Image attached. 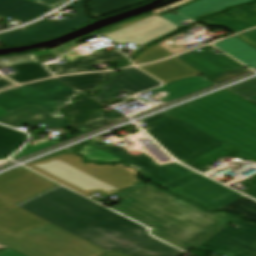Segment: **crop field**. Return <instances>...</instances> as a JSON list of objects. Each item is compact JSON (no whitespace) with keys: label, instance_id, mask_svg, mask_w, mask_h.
<instances>
[{"label":"crop field","instance_id":"obj_1","mask_svg":"<svg viewBox=\"0 0 256 256\" xmlns=\"http://www.w3.org/2000/svg\"><path fill=\"white\" fill-rule=\"evenodd\" d=\"M16 206L109 252L131 256L185 254L147 235L145 227L63 186Z\"/></svg>","mask_w":256,"mask_h":256},{"label":"crop field","instance_id":"obj_2","mask_svg":"<svg viewBox=\"0 0 256 256\" xmlns=\"http://www.w3.org/2000/svg\"><path fill=\"white\" fill-rule=\"evenodd\" d=\"M256 158V105L226 90L166 111Z\"/></svg>","mask_w":256,"mask_h":256},{"label":"crop field","instance_id":"obj_3","mask_svg":"<svg viewBox=\"0 0 256 256\" xmlns=\"http://www.w3.org/2000/svg\"><path fill=\"white\" fill-rule=\"evenodd\" d=\"M133 219L152 227V235L185 252L229 223L180 198Z\"/></svg>","mask_w":256,"mask_h":256},{"label":"crop field","instance_id":"obj_4","mask_svg":"<svg viewBox=\"0 0 256 256\" xmlns=\"http://www.w3.org/2000/svg\"><path fill=\"white\" fill-rule=\"evenodd\" d=\"M79 153L83 154L87 161L91 159H97L99 162L122 161L91 144H86ZM27 166L75 191L100 179L121 189L138 182L135 178V170L125 168L124 164H118L116 167L110 165L97 166L93 163L85 164L74 153Z\"/></svg>","mask_w":256,"mask_h":256},{"label":"crop field","instance_id":"obj_5","mask_svg":"<svg viewBox=\"0 0 256 256\" xmlns=\"http://www.w3.org/2000/svg\"><path fill=\"white\" fill-rule=\"evenodd\" d=\"M0 243L27 256H101L108 253L51 224L17 235L0 228Z\"/></svg>","mask_w":256,"mask_h":256},{"label":"crop field","instance_id":"obj_6","mask_svg":"<svg viewBox=\"0 0 256 256\" xmlns=\"http://www.w3.org/2000/svg\"><path fill=\"white\" fill-rule=\"evenodd\" d=\"M81 91L54 78L0 92V107L13 113L32 104L60 117V110L73 103Z\"/></svg>","mask_w":256,"mask_h":256},{"label":"crop field","instance_id":"obj_7","mask_svg":"<svg viewBox=\"0 0 256 256\" xmlns=\"http://www.w3.org/2000/svg\"><path fill=\"white\" fill-rule=\"evenodd\" d=\"M145 130L183 163L225 144L173 117Z\"/></svg>","mask_w":256,"mask_h":256},{"label":"crop field","instance_id":"obj_8","mask_svg":"<svg viewBox=\"0 0 256 256\" xmlns=\"http://www.w3.org/2000/svg\"><path fill=\"white\" fill-rule=\"evenodd\" d=\"M163 188L169 189L188 200L206 207L209 210H215L243 196L198 173Z\"/></svg>","mask_w":256,"mask_h":256},{"label":"crop field","instance_id":"obj_9","mask_svg":"<svg viewBox=\"0 0 256 256\" xmlns=\"http://www.w3.org/2000/svg\"><path fill=\"white\" fill-rule=\"evenodd\" d=\"M55 186L57 185L19 167L0 176V198L15 205Z\"/></svg>","mask_w":256,"mask_h":256},{"label":"crop field","instance_id":"obj_10","mask_svg":"<svg viewBox=\"0 0 256 256\" xmlns=\"http://www.w3.org/2000/svg\"><path fill=\"white\" fill-rule=\"evenodd\" d=\"M104 151L126 161L130 166L137 167L143 178L163 187L194 171L177 163L159 166L148 155L132 156L128 151L111 144Z\"/></svg>","mask_w":256,"mask_h":256},{"label":"crop field","instance_id":"obj_11","mask_svg":"<svg viewBox=\"0 0 256 256\" xmlns=\"http://www.w3.org/2000/svg\"><path fill=\"white\" fill-rule=\"evenodd\" d=\"M113 195L124 201L111 208L130 218L177 198L166 191H159L151 184L141 182Z\"/></svg>","mask_w":256,"mask_h":256},{"label":"crop field","instance_id":"obj_12","mask_svg":"<svg viewBox=\"0 0 256 256\" xmlns=\"http://www.w3.org/2000/svg\"><path fill=\"white\" fill-rule=\"evenodd\" d=\"M196 249L213 251L220 256H256V234L227 226Z\"/></svg>","mask_w":256,"mask_h":256},{"label":"crop field","instance_id":"obj_13","mask_svg":"<svg viewBox=\"0 0 256 256\" xmlns=\"http://www.w3.org/2000/svg\"><path fill=\"white\" fill-rule=\"evenodd\" d=\"M123 73L112 77L108 84L102 86L101 93L92 97L103 104L110 101L116 94L123 91L131 96L155 87L160 86V82L143 72L135 69L122 70Z\"/></svg>","mask_w":256,"mask_h":256},{"label":"crop field","instance_id":"obj_14","mask_svg":"<svg viewBox=\"0 0 256 256\" xmlns=\"http://www.w3.org/2000/svg\"><path fill=\"white\" fill-rule=\"evenodd\" d=\"M2 59L7 61L3 62ZM5 65L15 71L14 75L8 78L18 83L51 76L31 53L0 57V66ZM11 86L15 84L3 77L0 78V90Z\"/></svg>","mask_w":256,"mask_h":256},{"label":"crop field","instance_id":"obj_15","mask_svg":"<svg viewBox=\"0 0 256 256\" xmlns=\"http://www.w3.org/2000/svg\"><path fill=\"white\" fill-rule=\"evenodd\" d=\"M200 49L203 51L199 52L197 49L177 57L203 74L245 67L224 53L217 55L211 52L210 50L215 49L211 45Z\"/></svg>","mask_w":256,"mask_h":256},{"label":"crop field","instance_id":"obj_16","mask_svg":"<svg viewBox=\"0 0 256 256\" xmlns=\"http://www.w3.org/2000/svg\"><path fill=\"white\" fill-rule=\"evenodd\" d=\"M67 32L64 28L44 19L22 29L0 34V43L3 46H15L53 38Z\"/></svg>","mask_w":256,"mask_h":256},{"label":"crop field","instance_id":"obj_17","mask_svg":"<svg viewBox=\"0 0 256 256\" xmlns=\"http://www.w3.org/2000/svg\"><path fill=\"white\" fill-rule=\"evenodd\" d=\"M222 157H234V158L241 157V160H243V161L251 160V161L256 162V159L225 144L217 149H214V150H212L206 154H203L195 159H192L184 164H186L200 172H203V171L209 169L208 167H206L207 165L221 159ZM241 183L251 187L252 189L245 193L256 198V175L251 176V177L241 181Z\"/></svg>","mask_w":256,"mask_h":256},{"label":"crop field","instance_id":"obj_18","mask_svg":"<svg viewBox=\"0 0 256 256\" xmlns=\"http://www.w3.org/2000/svg\"><path fill=\"white\" fill-rule=\"evenodd\" d=\"M0 123L20 127L24 124L29 126L44 124L46 128L64 127L65 117L56 118L40 108L32 105L23 110L0 118Z\"/></svg>","mask_w":256,"mask_h":256},{"label":"crop field","instance_id":"obj_19","mask_svg":"<svg viewBox=\"0 0 256 256\" xmlns=\"http://www.w3.org/2000/svg\"><path fill=\"white\" fill-rule=\"evenodd\" d=\"M211 26H225L237 33L256 26V4L204 19Z\"/></svg>","mask_w":256,"mask_h":256},{"label":"crop field","instance_id":"obj_20","mask_svg":"<svg viewBox=\"0 0 256 256\" xmlns=\"http://www.w3.org/2000/svg\"><path fill=\"white\" fill-rule=\"evenodd\" d=\"M252 0H201L192 5L177 10L179 14H166L162 17L166 18L175 25H180L182 22L194 19L202 14L226 9L240 3L249 2Z\"/></svg>","mask_w":256,"mask_h":256},{"label":"crop field","instance_id":"obj_21","mask_svg":"<svg viewBox=\"0 0 256 256\" xmlns=\"http://www.w3.org/2000/svg\"><path fill=\"white\" fill-rule=\"evenodd\" d=\"M124 59H126V57L116 51L108 53L101 51L77 59L69 60L70 63L67 64L48 67V69L55 75L80 71H95L89 65L119 61Z\"/></svg>","mask_w":256,"mask_h":256},{"label":"crop field","instance_id":"obj_22","mask_svg":"<svg viewBox=\"0 0 256 256\" xmlns=\"http://www.w3.org/2000/svg\"><path fill=\"white\" fill-rule=\"evenodd\" d=\"M141 68L165 83L186 76L201 75L200 72L196 71L176 57L156 64L141 66Z\"/></svg>","mask_w":256,"mask_h":256},{"label":"crop field","instance_id":"obj_23","mask_svg":"<svg viewBox=\"0 0 256 256\" xmlns=\"http://www.w3.org/2000/svg\"><path fill=\"white\" fill-rule=\"evenodd\" d=\"M45 224L48 223L15 206L0 214V227L14 234Z\"/></svg>","mask_w":256,"mask_h":256},{"label":"crop field","instance_id":"obj_24","mask_svg":"<svg viewBox=\"0 0 256 256\" xmlns=\"http://www.w3.org/2000/svg\"><path fill=\"white\" fill-rule=\"evenodd\" d=\"M53 9L27 0H0V15L18 17L23 21L32 20L44 12Z\"/></svg>","mask_w":256,"mask_h":256},{"label":"crop field","instance_id":"obj_25","mask_svg":"<svg viewBox=\"0 0 256 256\" xmlns=\"http://www.w3.org/2000/svg\"><path fill=\"white\" fill-rule=\"evenodd\" d=\"M178 28L179 27L165 20L163 22L157 23L155 25L149 26L147 28L141 29L139 31L112 40V42L117 45L134 42L136 44L143 46L151 40L164 36Z\"/></svg>","mask_w":256,"mask_h":256},{"label":"crop field","instance_id":"obj_26","mask_svg":"<svg viewBox=\"0 0 256 256\" xmlns=\"http://www.w3.org/2000/svg\"><path fill=\"white\" fill-rule=\"evenodd\" d=\"M211 85L213 84L201 78L200 76H197V77L177 80V81L168 83V85L164 87L151 90V91L154 93H157L160 91L167 92L168 95L165 98L161 99L163 102L167 103L169 101L175 100L177 98H180L182 96L193 93L195 91H198L200 89H203Z\"/></svg>","mask_w":256,"mask_h":256},{"label":"crop field","instance_id":"obj_27","mask_svg":"<svg viewBox=\"0 0 256 256\" xmlns=\"http://www.w3.org/2000/svg\"><path fill=\"white\" fill-rule=\"evenodd\" d=\"M215 47L256 70V49L236 37L214 44Z\"/></svg>","mask_w":256,"mask_h":256},{"label":"crop field","instance_id":"obj_28","mask_svg":"<svg viewBox=\"0 0 256 256\" xmlns=\"http://www.w3.org/2000/svg\"><path fill=\"white\" fill-rule=\"evenodd\" d=\"M104 106L102 103L83 94L77 104L65 111V113L73 115L70 126L80 130Z\"/></svg>","mask_w":256,"mask_h":256},{"label":"crop field","instance_id":"obj_29","mask_svg":"<svg viewBox=\"0 0 256 256\" xmlns=\"http://www.w3.org/2000/svg\"><path fill=\"white\" fill-rule=\"evenodd\" d=\"M28 140V135L0 125V160H5Z\"/></svg>","mask_w":256,"mask_h":256},{"label":"crop field","instance_id":"obj_30","mask_svg":"<svg viewBox=\"0 0 256 256\" xmlns=\"http://www.w3.org/2000/svg\"><path fill=\"white\" fill-rule=\"evenodd\" d=\"M115 72H117V71H115ZM111 75H112V72L97 73V74H81V75L60 77L58 79L81 90L82 92L86 91L89 94H94V93H96L95 88L97 86H99L100 84L104 83L106 81V79Z\"/></svg>","mask_w":256,"mask_h":256},{"label":"crop field","instance_id":"obj_31","mask_svg":"<svg viewBox=\"0 0 256 256\" xmlns=\"http://www.w3.org/2000/svg\"><path fill=\"white\" fill-rule=\"evenodd\" d=\"M150 0H90L87 3L92 10L91 17L106 15Z\"/></svg>","mask_w":256,"mask_h":256},{"label":"crop field","instance_id":"obj_32","mask_svg":"<svg viewBox=\"0 0 256 256\" xmlns=\"http://www.w3.org/2000/svg\"><path fill=\"white\" fill-rule=\"evenodd\" d=\"M220 209L227 211H234L241 215V217L256 220V201L244 196Z\"/></svg>","mask_w":256,"mask_h":256},{"label":"crop field","instance_id":"obj_33","mask_svg":"<svg viewBox=\"0 0 256 256\" xmlns=\"http://www.w3.org/2000/svg\"><path fill=\"white\" fill-rule=\"evenodd\" d=\"M126 118L125 116L115 112L112 114H105L103 111H99L89 122L88 124L81 129V133L84 134L92 129L100 127L105 124L116 122L118 120Z\"/></svg>","mask_w":256,"mask_h":256},{"label":"crop field","instance_id":"obj_34","mask_svg":"<svg viewBox=\"0 0 256 256\" xmlns=\"http://www.w3.org/2000/svg\"><path fill=\"white\" fill-rule=\"evenodd\" d=\"M85 1H87V0H80L72 5L68 6V7L72 8L73 10H75L76 12H78L79 14L76 15L75 18L64 20V21L60 22L59 24L65 28L71 30V29H75L85 23L92 21V20L88 19L87 16L85 15V10L83 8Z\"/></svg>","mask_w":256,"mask_h":256},{"label":"crop field","instance_id":"obj_35","mask_svg":"<svg viewBox=\"0 0 256 256\" xmlns=\"http://www.w3.org/2000/svg\"><path fill=\"white\" fill-rule=\"evenodd\" d=\"M173 56L168 51L156 45L146 49L136 59L132 60L136 64L152 62L165 57Z\"/></svg>","mask_w":256,"mask_h":256},{"label":"crop field","instance_id":"obj_36","mask_svg":"<svg viewBox=\"0 0 256 256\" xmlns=\"http://www.w3.org/2000/svg\"><path fill=\"white\" fill-rule=\"evenodd\" d=\"M119 190L120 189H118V188H116V187H114V186H112V185H110V184L101 180V181H99L97 183H94V184H92V185H90V186H88V187H86V188H84V189H82L78 192L87 196V195H89L93 192L99 191V192L109 196V195H111V194H113V193H115Z\"/></svg>","mask_w":256,"mask_h":256},{"label":"crop field","instance_id":"obj_37","mask_svg":"<svg viewBox=\"0 0 256 256\" xmlns=\"http://www.w3.org/2000/svg\"><path fill=\"white\" fill-rule=\"evenodd\" d=\"M249 70L246 68L233 70V71H227V72H221V73H215V74H209V75H202L201 77L207 79L208 81L216 84L221 81L227 80L229 78L238 76L240 74L246 73ZM251 71V70H250Z\"/></svg>","mask_w":256,"mask_h":256},{"label":"crop field","instance_id":"obj_38","mask_svg":"<svg viewBox=\"0 0 256 256\" xmlns=\"http://www.w3.org/2000/svg\"><path fill=\"white\" fill-rule=\"evenodd\" d=\"M241 97L248 96L256 93V78L226 89Z\"/></svg>","mask_w":256,"mask_h":256},{"label":"crop field","instance_id":"obj_39","mask_svg":"<svg viewBox=\"0 0 256 256\" xmlns=\"http://www.w3.org/2000/svg\"><path fill=\"white\" fill-rule=\"evenodd\" d=\"M59 143V141L57 140H52V141H49V142H46V143H43V144H40V145H36V146H32V145H27L25 146L23 149H21L17 154H15L13 156L14 160H17L21 157H24L26 155H29L33 152H36L38 150H41V149H44L46 147H49L51 145H54V144H57Z\"/></svg>","mask_w":256,"mask_h":256},{"label":"crop field","instance_id":"obj_40","mask_svg":"<svg viewBox=\"0 0 256 256\" xmlns=\"http://www.w3.org/2000/svg\"><path fill=\"white\" fill-rule=\"evenodd\" d=\"M212 213H214L218 216H221L229 221H232V222L242 226L245 229H248V230L256 233V225H254V224H250V223H246L244 221L238 220V219L234 218L233 216L226 214V213H220V212H212Z\"/></svg>","mask_w":256,"mask_h":256},{"label":"crop field","instance_id":"obj_41","mask_svg":"<svg viewBox=\"0 0 256 256\" xmlns=\"http://www.w3.org/2000/svg\"><path fill=\"white\" fill-rule=\"evenodd\" d=\"M93 34H94V35H97V34H99V33L95 31V32H93V33H91V34H89V35H87V36H85V37H82V38H80V39H77V40H74V41H72V42H69V43H67V44H65V45H62V46L58 47V48L52 49V51H53L57 56H59V55L65 53V52H67V51L73 49L78 41L83 40V39L88 38V37H91Z\"/></svg>","mask_w":256,"mask_h":256},{"label":"crop field","instance_id":"obj_42","mask_svg":"<svg viewBox=\"0 0 256 256\" xmlns=\"http://www.w3.org/2000/svg\"><path fill=\"white\" fill-rule=\"evenodd\" d=\"M182 33H184V32H182ZM182 33H180V34H182ZM180 34H178V35H180ZM178 35H175V36H173V37H171V38H169V39H167V40L161 42L159 45H160L161 47H163L164 49L168 50L169 52H171V53L174 54V55H176V54H178V53H180V52L189 50L188 48H186V47H184V46H181V45H178V44H175V45H167V44L165 43L166 41L171 40V39L177 37ZM197 47H198V46H197ZM194 48H195V47H194ZM190 49H192V48H190Z\"/></svg>","mask_w":256,"mask_h":256},{"label":"crop field","instance_id":"obj_43","mask_svg":"<svg viewBox=\"0 0 256 256\" xmlns=\"http://www.w3.org/2000/svg\"><path fill=\"white\" fill-rule=\"evenodd\" d=\"M242 39L246 40L247 42L251 43L252 45L256 46V31H250L241 35H238Z\"/></svg>","mask_w":256,"mask_h":256},{"label":"crop field","instance_id":"obj_44","mask_svg":"<svg viewBox=\"0 0 256 256\" xmlns=\"http://www.w3.org/2000/svg\"><path fill=\"white\" fill-rule=\"evenodd\" d=\"M30 1L55 8L67 0H30Z\"/></svg>","mask_w":256,"mask_h":256},{"label":"crop field","instance_id":"obj_45","mask_svg":"<svg viewBox=\"0 0 256 256\" xmlns=\"http://www.w3.org/2000/svg\"><path fill=\"white\" fill-rule=\"evenodd\" d=\"M168 116H170V115L165 113V112H163V113H160V114L148 117L146 119H143V121L145 123H153L155 121H158V120L163 119V118L168 117Z\"/></svg>","mask_w":256,"mask_h":256},{"label":"crop field","instance_id":"obj_46","mask_svg":"<svg viewBox=\"0 0 256 256\" xmlns=\"http://www.w3.org/2000/svg\"><path fill=\"white\" fill-rule=\"evenodd\" d=\"M0 256H25L11 248L0 251Z\"/></svg>","mask_w":256,"mask_h":256},{"label":"crop field","instance_id":"obj_47","mask_svg":"<svg viewBox=\"0 0 256 256\" xmlns=\"http://www.w3.org/2000/svg\"><path fill=\"white\" fill-rule=\"evenodd\" d=\"M91 144L95 145V146H98V147H104L106 145H109L107 144L105 141H103L101 138H95L91 141H89Z\"/></svg>","mask_w":256,"mask_h":256},{"label":"crop field","instance_id":"obj_48","mask_svg":"<svg viewBox=\"0 0 256 256\" xmlns=\"http://www.w3.org/2000/svg\"><path fill=\"white\" fill-rule=\"evenodd\" d=\"M190 1H192V0H183V1L179 2V3L174 4V5L167 6V7H165V8L159 9V10H157V11H155V12H156V13H161V12H163V11H165V10H168V9H170V8H173V7H175V6H178V5H181V4L190 2Z\"/></svg>","mask_w":256,"mask_h":256},{"label":"crop field","instance_id":"obj_49","mask_svg":"<svg viewBox=\"0 0 256 256\" xmlns=\"http://www.w3.org/2000/svg\"><path fill=\"white\" fill-rule=\"evenodd\" d=\"M13 206L12 204L0 199V212L4 211L5 209Z\"/></svg>","mask_w":256,"mask_h":256},{"label":"crop field","instance_id":"obj_50","mask_svg":"<svg viewBox=\"0 0 256 256\" xmlns=\"http://www.w3.org/2000/svg\"><path fill=\"white\" fill-rule=\"evenodd\" d=\"M103 256H127V255H124V254H121L119 252H116V251H112L106 255H103Z\"/></svg>","mask_w":256,"mask_h":256},{"label":"crop field","instance_id":"obj_51","mask_svg":"<svg viewBox=\"0 0 256 256\" xmlns=\"http://www.w3.org/2000/svg\"><path fill=\"white\" fill-rule=\"evenodd\" d=\"M244 98L256 104V94Z\"/></svg>","mask_w":256,"mask_h":256},{"label":"crop field","instance_id":"obj_52","mask_svg":"<svg viewBox=\"0 0 256 256\" xmlns=\"http://www.w3.org/2000/svg\"><path fill=\"white\" fill-rule=\"evenodd\" d=\"M7 114H10V113L0 108V117Z\"/></svg>","mask_w":256,"mask_h":256},{"label":"crop field","instance_id":"obj_53","mask_svg":"<svg viewBox=\"0 0 256 256\" xmlns=\"http://www.w3.org/2000/svg\"><path fill=\"white\" fill-rule=\"evenodd\" d=\"M131 65H132L131 62L129 61V62L125 63V64H121L118 68L125 67V66H131Z\"/></svg>","mask_w":256,"mask_h":256},{"label":"crop field","instance_id":"obj_54","mask_svg":"<svg viewBox=\"0 0 256 256\" xmlns=\"http://www.w3.org/2000/svg\"><path fill=\"white\" fill-rule=\"evenodd\" d=\"M3 248H7V247L0 244V249H3Z\"/></svg>","mask_w":256,"mask_h":256},{"label":"crop field","instance_id":"obj_55","mask_svg":"<svg viewBox=\"0 0 256 256\" xmlns=\"http://www.w3.org/2000/svg\"><path fill=\"white\" fill-rule=\"evenodd\" d=\"M4 19H6V18L0 16V21H1V20H4Z\"/></svg>","mask_w":256,"mask_h":256}]
</instances>
